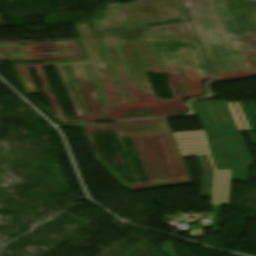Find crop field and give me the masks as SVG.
Wrapping results in <instances>:
<instances>
[{"instance_id":"8a807250","label":"crop field","mask_w":256,"mask_h":256,"mask_svg":"<svg viewBox=\"0 0 256 256\" xmlns=\"http://www.w3.org/2000/svg\"><path fill=\"white\" fill-rule=\"evenodd\" d=\"M233 169L232 181H244L245 168L250 165V161L247 154H235L227 155ZM215 169V168H214ZM216 175V170H215Z\"/></svg>"},{"instance_id":"ac0d7876","label":"crop field","mask_w":256,"mask_h":256,"mask_svg":"<svg viewBox=\"0 0 256 256\" xmlns=\"http://www.w3.org/2000/svg\"><path fill=\"white\" fill-rule=\"evenodd\" d=\"M204 172L201 197L211 196L213 170L209 164L207 157L197 158Z\"/></svg>"},{"instance_id":"34b2d1b8","label":"crop field","mask_w":256,"mask_h":256,"mask_svg":"<svg viewBox=\"0 0 256 256\" xmlns=\"http://www.w3.org/2000/svg\"><path fill=\"white\" fill-rule=\"evenodd\" d=\"M221 206H214V213H207V214H200V215H191L193 217L192 220H198V219H210L213 220V228L212 231L213 232H217V228H218V218H219V210H220ZM202 216H208V218H202ZM189 219V217L187 218V222L192 221Z\"/></svg>"},{"instance_id":"412701ff","label":"crop field","mask_w":256,"mask_h":256,"mask_svg":"<svg viewBox=\"0 0 256 256\" xmlns=\"http://www.w3.org/2000/svg\"><path fill=\"white\" fill-rule=\"evenodd\" d=\"M248 102H249V104H250V106H251V108L253 110V113H254V115L256 117V105H255L254 101H248ZM242 104H243L244 109L246 111V114H247V116L249 118V121H250L251 126L253 128V131H256V123L254 121V118H253V116L251 114V111L249 109V106H248L247 102H242Z\"/></svg>"},{"instance_id":"f4fd0767","label":"crop field","mask_w":256,"mask_h":256,"mask_svg":"<svg viewBox=\"0 0 256 256\" xmlns=\"http://www.w3.org/2000/svg\"><path fill=\"white\" fill-rule=\"evenodd\" d=\"M177 215H172L171 217L176 218V219H183L185 214L176 212Z\"/></svg>"},{"instance_id":"dd49c442","label":"crop field","mask_w":256,"mask_h":256,"mask_svg":"<svg viewBox=\"0 0 256 256\" xmlns=\"http://www.w3.org/2000/svg\"><path fill=\"white\" fill-rule=\"evenodd\" d=\"M249 133H250L253 145H256V136H255L254 132H249Z\"/></svg>"},{"instance_id":"e52e79f7","label":"crop field","mask_w":256,"mask_h":256,"mask_svg":"<svg viewBox=\"0 0 256 256\" xmlns=\"http://www.w3.org/2000/svg\"><path fill=\"white\" fill-rule=\"evenodd\" d=\"M0 24H4V22H3L2 18H1V16H0Z\"/></svg>"}]
</instances>
